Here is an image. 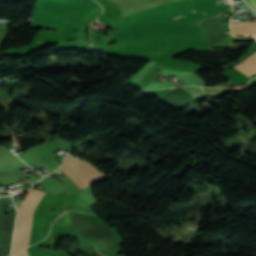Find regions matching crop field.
Segmentation results:
<instances>
[{"label":"crop field","mask_w":256,"mask_h":256,"mask_svg":"<svg viewBox=\"0 0 256 256\" xmlns=\"http://www.w3.org/2000/svg\"><path fill=\"white\" fill-rule=\"evenodd\" d=\"M250 2L253 4L255 10H256V0H250Z\"/></svg>","instance_id":"crop-field-7"},{"label":"crop field","mask_w":256,"mask_h":256,"mask_svg":"<svg viewBox=\"0 0 256 256\" xmlns=\"http://www.w3.org/2000/svg\"><path fill=\"white\" fill-rule=\"evenodd\" d=\"M42 196L39 192H30L18 213L11 256L28 246L33 212Z\"/></svg>","instance_id":"crop-field-1"},{"label":"crop field","mask_w":256,"mask_h":256,"mask_svg":"<svg viewBox=\"0 0 256 256\" xmlns=\"http://www.w3.org/2000/svg\"><path fill=\"white\" fill-rule=\"evenodd\" d=\"M28 167L16 155L0 145V171L12 168Z\"/></svg>","instance_id":"crop-field-3"},{"label":"crop field","mask_w":256,"mask_h":256,"mask_svg":"<svg viewBox=\"0 0 256 256\" xmlns=\"http://www.w3.org/2000/svg\"><path fill=\"white\" fill-rule=\"evenodd\" d=\"M232 35L256 33V22H242L231 24Z\"/></svg>","instance_id":"crop-field-5"},{"label":"crop field","mask_w":256,"mask_h":256,"mask_svg":"<svg viewBox=\"0 0 256 256\" xmlns=\"http://www.w3.org/2000/svg\"><path fill=\"white\" fill-rule=\"evenodd\" d=\"M233 68L251 78L256 74V53Z\"/></svg>","instance_id":"crop-field-4"},{"label":"crop field","mask_w":256,"mask_h":256,"mask_svg":"<svg viewBox=\"0 0 256 256\" xmlns=\"http://www.w3.org/2000/svg\"><path fill=\"white\" fill-rule=\"evenodd\" d=\"M60 168L79 188L87 187L109 179L100 170L74 157H66Z\"/></svg>","instance_id":"crop-field-2"},{"label":"crop field","mask_w":256,"mask_h":256,"mask_svg":"<svg viewBox=\"0 0 256 256\" xmlns=\"http://www.w3.org/2000/svg\"><path fill=\"white\" fill-rule=\"evenodd\" d=\"M17 256H28L27 250H24L22 253H20Z\"/></svg>","instance_id":"crop-field-6"}]
</instances>
